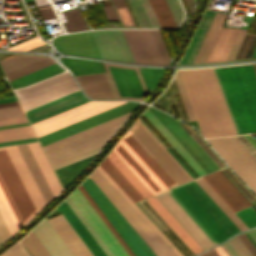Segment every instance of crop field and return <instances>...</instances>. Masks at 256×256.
Listing matches in <instances>:
<instances>
[{"label":"crop field","instance_id":"1","mask_svg":"<svg viewBox=\"0 0 256 256\" xmlns=\"http://www.w3.org/2000/svg\"><path fill=\"white\" fill-rule=\"evenodd\" d=\"M178 72L203 137L237 134L213 69Z\"/></svg>","mask_w":256,"mask_h":256},{"label":"crop field","instance_id":"2","mask_svg":"<svg viewBox=\"0 0 256 256\" xmlns=\"http://www.w3.org/2000/svg\"><path fill=\"white\" fill-rule=\"evenodd\" d=\"M213 69L237 133L256 132V76L252 66Z\"/></svg>","mask_w":256,"mask_h":256},{"label":"crop field","instance_id":"3","mask_svg":"<svg viewBox=\"0 0 256 256\" xmlns=\"http://www.w3.org/2000/svg\"><path fill=\"white\" fill-rule=\"evenodd\" d=\"M123 138L168 189L192 180L139 119Z\"/></svg>","mask_w":256,"mask_h":256},{"label":"crop field","instance_id":"4","mask_svg":"<svg viewBox=\"0 0 256 256\" xmlns=\"http://www.w3.org/2000/svg\"><path fill=\"white\" fill-rule=\"evenodd\" d=\"M171 192L218 243L239 232L195 180L173 188Z\"/></svg>","mask_w":256,"mask_h":256},{"label":"crop field","instance_id":"5","mask_svg":"<svg viewBox=\"0 0 256 256\" xmlns=\"http://www.w3.org/2000/svg\"><path fill=\"white\" fill-rule=\"evenodd\" d=\"M90 177L156 256H178L97 169Z\"/></svg>","mask_w":256,"mask_h":256},{"label":"crop field","instance_id":"6","mask_svg":"<svg viewBox=\"0 0 256 256\" xmlns=\"http://www.w3.org/2000/svg\"><path fill=\"white\" fill-rule=\"evenodd\" d=\"M82 185L136 256H155L90 177Z\"/></svg>","mask_w":256,"mask_h":256},{"label":"crop field","instance_id":"7","mask_svg":"<svg viewBox=\"0 0 256 256\" xmlns=\"http://www.w3.org/2000/svg\"><path fill=\"white\" fill-rule=\"evenodd\" d=\"M78 90L68 72L51 77L28 87L15 90L14 93L25 111L65 94Z\"/></svg>","mask_w":256,"mask_h":256},{"label":"crop field","instance_id":"8","mask_svg":"<svg viewBox=\"0 0 256 256\" xmlns=\"http://www.w3.org/2000/svg\"><path fill=\"white\" fill-rule=\"evenodd\" d=\"M127 102L123 101H90L50 118L32 124L37 137L78 122L90 116L109 110Z\"/></svg>","mask_w":256,"mask_h":256},{"label":"crop field","instance_id":"9","mask_svg":"<svg viewBox=\"0 0 256 256\" xmlns=\"http://www.w3.org/2000/svg\"><path fill=\"white\" fill-rule=\"evenodd\" d=\"M228 165L256 193V165L230 137L207 139Z\"/></svg>","mask_w":256,"mask_h":256},{"label":"crop field","instance_id":"10","mask_svg":"<svg viewBox=\"0 0 256 256\" xmlns=\"http://www.w3.org/2000/svg\"><path fill=\"white\" fill-rule=\"evenodd\" d=\"M103 64L118 99L143 100L148 95L137 67Z\"/></svg>","mask_w":256,"mask_h":256},{"label":"crop field","instance_id":"11","mask_svg":"<svg viewBox=\"0 0 256 256\" xmlns=\"http://www.w3.org/2000/svg\"><path fill=\"white\" fill-rule=\"evenodd\" d=\"M156 198L203 250L217 244L212 236L200 225V223L169 190L156 196Z\"/></svg>","mask_w":256,"mask_h":256},{"label":"crop field","instance_id":"12","mask_svg":"<svg viewBox=\"0 0 256 256\" xmlns=\"http://www.w3.org/2000/svg\"><path fill=\"white\" fill-rule=\"evenodd\" d=\"M1 150L35 215L46 204L17 146L2 147Z\"/></svg>","mask_w":256,"mask_h":256},{"label":"crop field","instance_id":"13","mask_svg":"<svg viewBox=\"0 0 256 256\" xmlns=\"http://www.w3.org/2000/svg\"><path fill=\"white\" fill-rule=\"evenodd\" d=\"M90 32L102 59L136 63L122 30Z\"/></svg>","mask_w":256,"mask_h":256},{"label":"crop field","instance_id":"14","mask_svg":"<svg viewBox=\"0 0 256 256\" xmlns=\"http://www.w3.org/2000/svg\"><path fill=\"white\" fill-rule=\"evenodd\" d=\"M112 150L153 195L167 190L164 184L156 177V175L133 151V149L123 140V138Z\"/></svg>","mask_w":256,"mask_h":256},{"label":"crop field","instance_id":"15","mask_svg":"<svg viewBox=\"0 0 256 256\" xmlns=\"http://www.w3.org/2000/svg\"><path fill=\"white\" fill-rule=\"evenodd\" d=\"M71 199L90 222L108 248L115 256H129L122 245L118 242L112 232L108 229L99 215L95 212L89 202L85 199L82 193L77 188L70 195Z\"/></svg>","mask_w":256,"mask_h":256},{"label":"crop field","instance_id":"16","mask_svg":"<svg viewBox=\"0 0 256 256\" xmlns=\"http://www.w3.org/2000/svg\"><path fill=\"white\" fill-rule=\"evenodd\" d=\"M137 63L164 65L150 30H123Z\"/></svg>","mask_w":256,"mask_h":256},{"label":"crop field","instance_id":"17","mask_svg":"<svg viewBox=\"0 0 256 256\" xmlns=\"http://www.w3.org/2000/svg\"><path fill=\"white\" fill-rule=\"evenodd\" d=\"M149 109L164 124V126L174 135L183 147L193 156V158L209 173L218 169L213 161L201 150V148L189 137V135L170 116L159 112L151 107Z\"/></svg>","mask_w":256,"mask_h":256},{"label":"crop field","instance_id":"18","mask_svg":"<svg viewBox=\"0 0 256 256\" xmlns=\"http://www.w3.org/2000/svg\"><path fill=\"white\" fill-rule=\"evenodd\" d=\"M138 104L139 103H137V102H129L127 104L121 105L119 107H116L109 111L103 112L96 116L90 117L88 119H85L78 123L72 124L65 128L59 129V130L49 133L47 135L41 136L38 139H39L41 145L43 146L45 144H48V143L58 140L60 138L66 137L68 135H71L73 133H76V132L86 129L88 127H91V126L101 123L103 121L109 120L111 118H114V117L124 114L126 112H129V111L135 109Z\"/></svg>","mask_w":256,"mask_h":256},{"label":"crop field","instance_id":"19","mask_svg":"<svg viewBox=\"0 0 256 256\" xmlns=\"http://www.w3.org/2000/svg\"><path fill=\"white\" fill-rule=\"evenodd\" d=\"M0 180L5 187L23 225L34 217L18 183L16 182L1 150H0Z\"/></svg>","mask_w":256,"mask_h":256},{"label":"crop field","instance_id":"20","mask_svg":"<svg viewBox=\"0 0 256 256\" xmlns=\"http://www.w3.org/2000/svg\"><path fill=\"white\" fill-rule=\"evenodd\" d=\"M120 126V125H119ZM119 126L47 153L51 165L105 144Z\"/></svg>","mask_w":256,"mask_h":256},{"label":"crop field","instance_id":"21","mask_svg":"<svg viewBox=\"0 0 256 256\" xmlns=\"http://www.w3.org/2000/svg\"><path fill=\"white\" fill-rule=\"evenodd\" d=\"M203 178L234 212L251 206L247 199L236 189V187L220 170L205 175Z\"/></svg>","mask_w":256,"mask_h":256},{"label":"crop field","instance_id":"22","mask_svg":"<svg viewBox=\"0 0 256 256\" xmlns=\"http://www.w3.org/2000/svg\"><path fill=\"white\" fill-rule=\"evenodd\" d=\"M84 102H86V99L80 90H78L38 107L27 110L25 111V114L32 124Z\"/></svg>","mask_w":256,"mask_h":256},{"label":"crop field","instance_id":"23","mask_svg":"<svg viewBox=\"0 0 256 256\" xmlns=\"http://www.w3.org/2000/svg\"><path fill=\"white\" fill-rule=\"evenodd\" d=\"M32 231L51 256H73L46 218Z\"/></svg>","mask_w":256,"mask_h":256},{"label":"crop field","instance_id":"24","mask_svg":"<svg viewBox=\"0 0 256 256\" xmlns=\"http://www.w3.org/2000/svg\"><path fill=\"white\" fill-rule=\"evenodd\" d=\"M57 208L79 234L85 245L89 248L94 256H106L65 200Z\"/></svg>","mask_w":256,"mask_h":256},{"label":"crop field","instance_id":"25","mask_svg":"<svg viewBox=\"0 0 256 256\" xmlns=\"http://www.w3.org/2000/svg\"><path fill=\"white\" fill-rule=\"evenodd\" d=\"M146 201L170 226V228L181 238V240L191 249V251L195 255L203 251L155 197L146 199Z\"/></svg>","mask_w":256,"mask_h":256},{"label":"crop field","instance_id":"26","mask_svg":"<svg viewBox=\"0 0 256 256\" xmlns=\"http://www.w3.org/2000/svg\"><path fill=\"white\" fill-rule=\"evenodd\" d=\"M130 113L131 112L126 113L124 115H121L119 117H116L114 119H111L109 121L103 122V123L98 124L96 126H93L91 128H88L86 130H83L81 132L73 134V135L68 136L66 138H63L61 140L55 141V142L50 143L48 145H45V146H43V148H44L45 152L47 153L51 150L59 148V147H61L63 145H66L68 143L74 142L76 140L82 139L84 137L90 136V135L95 134L97 132H100V131H103V130L108 129L110 127H113L115 125H118V124L122 123L130 115Z\"/></svg>","mask_w":256,"mask_h":256},{"label":"crop field","instance_id":"27","mask_svg":"<svg viewBox=\"0 0 256 256\" xmlns=\"http://www.w3.org/2000/svg\"><path fill=\"white\" fill-rule=\"evenodd\" d=\"M48 221L51 223L52 226L66 222L62 215L48 219ZM53 227L66 244L79 238L78 235L71 228V226L68 224V222ZM80 245H83L81 239L67 244V246L75 256H88Z\"/></svg>","mask_w":256,"mask_h":256},{"label":"crop field","instance_id":"28","mask_svg":"<svg viewBox=\"0 0 256 256\" xmlns=\"http://www.w3.org/2000/svg\"><path fill=\"white\" fill-rule=\"evenodd\" d=\"M87 94L95 98H114L104 74L78 77Z\"/></svg>","mask_w":256,"mask_h":256},{"label":"crop field","instance_id":"29","mask_svg":"<svg viewBox=\"0 0 256 256\" xmlns=\"http://www.w3.org/2000/svg\"><path fill=\"white\" fill-rule=\"evenodd\" d=\"M28 146L55 197L61 191L62 188L51 166L49 165L39 143H29Z\"/></svg>","mask_w":256,"mask_h":256},{"label":"crop field","instance_id":"30","mask_svg":"<svg viewBox=\"0 0 256 256\" xmlns=\"http://www.w3.org/2000/svg\"><path fill=\"white\" fill-rule=\"evenodd\" d=\"M143 114L169 141V143L178 151V153L187 161V163L196 171L199 176L206 174L201 166L189 155V153L177 142V140L165 129V127L153 116V114L148 109Z\"/></svg>","mask_w":256,"mask_h":256},{"label":"crop field","instance_id":"31","mask_svg":"<svg viewBox=\"0 0 256 256\" xmlns=\"http://www.w3.org/2000/svg\"><path fill=\"white\" fill-rule=\"evenodd\" d=\"M46 203H48L51 199H53V195L41 173V171L39 170L27 144H21V145H18Z\"/></svg>","mask_w":256,"mask_h":256},{"label":"crop field","instance_id":"32","mask_svg":"<svg viewBox=\"0 0 256 256\" xmlns=\"http://www.w3.org/2000/svg\"><path fill=\"white\" fill-rule=\"evenodd\" d=\"M227 15L216 13L193 63L205 62Z\"/></svg>","mask_w":256,"mask_h":256},{"label":"crop field","instance_id":"33","mask_svg":"<svg viewBox=\"0 0 256 256\" xmlns=\"http://www.w3.org/2000/svg\"><path fill=\"white\" fill-rule=\"evenodd\" d=\"M106 158L126 178V180L139 192V194L144 199L152 196V194L148 191V189L137 179V177L127 168V166L116 156V154L112 150Z\"/></svg>","mask_w":256,"mask_h":256},{"label":"crop field","instance_id":"34","mask_svg":"<svg viewBox=\"0 0 256 256\" xmlns=\"http://www.w3.org/2000/svg\"><path fill=\"white\" fill-rule=\"evenodd\" d=\"M99 166L134 203L143 200V198L137 193V191L124 179V177L111 165V163L106 158Z\"/></svg>","mask_w":256,"mask_h":256},{"label":"crop field","instance_id":"35","mask_svg":"<svg viewBox=\"0 0 256 256\" xmlns=\"http://www.w3.org/2000/svg\"><path fill=\"white\" fill-rule=\"evenodd\" d=\"M63 69L59 67L56 63L49 65L47 67H44L42 69H39L37 71H34L30 74H27L25 76H22L20 78H17L15 80L10 81V85L12 89L27 86L29 84H32L34 82H37L41 79H44L46 77H49L53 74H56Z\"/></svg>","mask_w":256,"mask_h":256},{"label":"crop field","instance_id":"36","mask_svg":"<svg viewBox=\"0 0 256 256\" xmlns=\"http://www.w3.org/2000/svg\"><path fill=\"white\" fill-rule=\"evenodd\" d=\"M61 61L72 70L74 75L105 72L99 62L74 58H61Z\"/></svg>","mask_w":256,"mask_h":256},{"label":"crop field","instance_id":"37","mask_svg":"<svg viewBox=\"0 0 256 256\" xmlns=\"http://www.w3.org/2000/svg\"><path fill=\"white\" fill-rule=\"evenodd\" d=\"M196 181L214 200V202L222 209V211L230 218V220L237 226L240 231L247 229L243 222L234 214V212L225 204V202L215 193V191L206 183V181L202 177L196 179Z\"/></svg>","mask_w":256,"mask_h":256},{"label":"crop field","instance_id":"38","mask_svg":"<svg viewBox=\"0 0 256 256\" xmlns=\"http://www.w3.org/2000/svg\"><path fill=\"white\" fill-rule=\"evenodd\" d=\"M47 56L41 55H27V54H16L12 57L0 61V65L4 73L24 66L26 64L32 63L39 59L45 58Z\"/></svg>","mask_w":256,"mask_h":256},{"label":"crop field","instance_id":"39","mask_svg":"<svg viewBox=\"0 0 256 256\" xmlns=\"http://www.w3.org/2000/svg\"><path fill=\"white\" fill-rule=\"evenodd\" d=\"M35 137L30 126L0 129V142Z\"/></svg>","mask_w":256,"mask_h":256},{"label":"crop field","instance_id":"40","mask_svg":"<svg viewBox=\"0 0 256 256\" xmlns=\"http://www.w3.org/2000/svg\"><path fill=\"white\" fill-rule=\"evenodd\" d=\"M52 63H54V60L49 58V57H47L45 59H42V60H39V61L34 62L32 64H29L27 66L21 67L19 69L11 71V72H8L5 75H6L7 79H8V81H10L12 79L20 77L22 75H25L27 73H30V72H32L34 70H37L39 68H42V67L47 66V65L52 64Z\"/></svg>","mask_w":256,"mask_h":256},{"label":"crop field","instance_id":"41","mask_svg":"<svg viewBox=\"0 0 256 256\" xmlns=\"http://www.w3.org/2000/svg\"><path fill=\"white\" fill-rule=\"evenodd\" d=\"M105 178L120 192V194L135 208V210L150 224V226L164 239V241L179 255L183 256L177 248L160 232V230L142 213V211L124 194V192L107 176V174L98 166L97 168Z\"/></svg>","mask_w":256,"mask_h":256},{"label":"crop field","instance_id":"42","mask_svg":"<svg viewBox=\"0 0 256 256\" xmlns=\"http://www.w3.org/2000/svg\"><path fill=\"white\" fill-rule=\"evenodd\" d=\"M206 30L207 29H203V28H198L181 64H189V63H192L195 56H196V53L199 49V46L203 40V37L206 33ZM208 31V30H207Z\"/></svg>","mask_w":256,"mask_h":256},{"label":"crop field","instance_id":"43","mask_svg":"<svg viewBox=\"0 0 256 256\" xmlns=\"http://www.w3.org/2000/svg\"><path fill=\"white\" fill-rule=\"evenodd\" d=\"M65 200L73 209V211L76 213V215L79 217V219L82 221V223L85 225V227L88 229V231L91 233V235L95 238V240L98 242V244L107 254V256H114L111 253V251L107 248V246L104 244V242L101 240V238L98 236V234L95 232V230L92 228V226L89 224V222L85 219V217L79 211V209L76 207V205L73 203V201L70 199V197L68 196Z\"/></svg>","mask_w":256,"mask_h":256},{"label":"crop field","instance_id":"44","mask_svg":"<svg viewBox=\"0 0 256 256\" xmlns=\"http://www.w3.org/2000/svg\"><path fill=\"white\" fill-rule=\"evenodd\" d=\"M80 191L83 193V195L86 197V199L90 202V204L93 206V208L96 210V212L100 215V217L103 219V221L106 223V225L110 228V230L113 232V234L116 236V238L119 240V242L123 245V247L126 249V251L129 253L130 256H134V254L130 251V249L127 247V245L124 243V241L121 239V237L118 235V233L115 231V229L112 227V225L109 223V221L106 219V217L103 215V213L100 211V209L97 207V205L94 203V201L91 199V197L88 195V193L85 191V189L81 186L78 187Z\"/></svg>","mask_w":256,"mask_h":256},{"label":"crop field","instance_id":"45","mask_svg":"<svg viewBox=\"0 0 256 256\" xmlns=\"http://www.w3.org/2000/svg\"><path fill=\"white\" fill-rule=\"evenodd\" d=\"M21 115L24 114L17 101L0 104V119Z\"/></svg>","mask_w":256,"mask_h":256},{"label":"crop field","instance_id":"46","mask_svg":"<svg viewBox=\"0 0 256 256\" xmlns=\"http://www.w3.org/2000/svg\"><path fill=\"white\" fill-rule=\"evenodd\" d=\"M0 196H1L5 206L7 208V210L9 212L17 230H19L23 225H22V223H21V221H20V219H19V217H18V215H17V213H16V211H15V209H14L6 191H5V189L3 188L1 182H0Z\"/></svg>","mask_w":256,"mask_h":256},{"label":"crop field","instance_id":"47","mask_svg":"<svg viewBox=\"0 0 256 256\" xmlns=\"http://www.w3.org/2000/svg\"><path fill=\"white\" fill-rule=\"evenodd\" d=\"M239 29L231 28L215 61L224 60ZM226 60V59H225Z\"/></svg>","mask_w":256,"mask_h":256},{"label":"crop field","instance_id":"48","mask_svg":"<svg viewBox=\"0 0 256 256\" xmlns=\"http://www.w3.org/2000/svg\"><path fill=\"white\" fill-rule=\"evenodd\" d=\"M236 214L248 228L256 226V212L252 207L238 211Z\"/></svg>","mask_w":256,"mask_h":256},{"label":"crop field","instance_id":"49","mask_svg":"<svg viewBox=\"0 0 256 256\" xmlns=\"http://www.w3.org/2000/svg\"><path fill=\"white\" fill-rule=\"evenodd\" d=\"M230 28L222 27L206 62L214 61Z\"/></svg>","mask_w":256,"mask_h":256},{"label":"crop field","instance_id":"50","mask_svg":"<svg viewBox=\"0 0 256 256\" xmlns=\"http://www.w3.org/2000/svg\"><path fill=\"white\" fill-rule=\"evenodd\" d=\"M151 31H152L153 36L155 38V41L157 43V46H158V49H159L160 54L162 56V59L164 61V64L168 65L171 57H170V55H169V53L167 51V48H166V46H165V44H164V42L162 40V37H161V35H160L158 30H151Z\"/></svg>","mask_w":256,"mask_h":256},{"label":"crop field","instance_id":"51","mask_svg":"<svg viewBox=\"0 0 256 256\" xmlns=\"http://www.w3.org/2000/svg\"><path fill=\"white\" fill-rule=\"evenodd\" d=\"M101 148H102V146H101V147H98V148H96V149H93V150H91V151H88V152H86V153H83V154H81V155H78V156H75V157H73V158H70V159H68V160H65V161H63V162H60V163H58V164H55V165H53V168H54V170H56V169H58V168H61V167H63V166H66V165H68V164H71V163H73V162H76V161H78V160H80V159H83V158H85V157H88V156H90V155H93V154L97 153Z\"/></svg>","mask_w":256,"mask_h":256},{"label":"crop field","instance_id":"52","mask_svg":"<svg viewBox=\"0 0 256 256\" xmlns=\"http://www.w3.org/2000/svg\"><path fill=\"white\" fill-rule=\"evenodd\" d=\"M246 31L247 30H243V29L239 30V32H238V34H237V36H236V38L233 42V45H232V47H231V49H230V51L227 55L226 60H233L234 59Z\"/></svg>","mask_w":256,"mask_h":256},{"label":"crop field","instance_id":"53","mask_svg":"<svg viewBox=\"0 0 256 256\" xmlns=\"http://www.w3.org/2000/svg\"><path fill=\"white\" fill-rule=\"evenodd\" d=\"M26 237L28 238V240L31 242V244L34 246V248L38 251V253L41 256H50L49 253L42 246V244L39 242V240L36 238V236L33 234L32 231Z\"/></svg>","mask_w":256,"mask_h":256},{"label":"crop field","instance_id":"54","mask_svg":"<svg viewBox=\"0 0 256 256\" xmlns=\"http://www.w3.org/2000/svg\"><path fill=\"white\" fill-rule=\"evenodd\" d=\"M1 256H29L20 243L15 244Z\"/></svg>","mask_w":256,"mask_h":256},{"label":"crop field","instance_id":"55","mask_svg":"<svg viewBox=\"0 0 256 256\" xmlns=\"http://www.w3.org/2000/svg\"><path fill=\"white\" fill-rule=\"evenodd\" d=\"M43 44L38 37L34 38V39H31L29 41H26L24 43H21L17 46H14L12 48H9V49H16V50H28L30 48H33V47H36L38 45H41Z\"/></svg>","mask_w":256,"mask_h":256},{"label":"crop field","instance_id":"56","mask_svg":"<svg viewBox=\"0 0 256 256\" xmlns=\"http://www.w3.org/2000/svg\"><path fill=\"white\" fill-rule=\"evenodd\" d=\"M0 213H1L5 223L7 225L11 235L14 234L15 232H17L13 223H12V221H11V219H10V217H9V215H8V213H7V211H6V209H5V207H4V205H3V203H2V201H1V199H0Z\"/></svg>","mask_w":256,"mask_h":256},{"label":"crop field","instance_id":"57","mask_svg":"<svg viewBox=\"0 0 256 256\" xmlns=\"http://www.w3.org/2000/svg\"><path fill=\"white\" fill-rule=\"evenodd\" d=\"M230 241L236 247V249L241 253L242 256H252L250 252L246 249V247L242 244V242L238 239L237 236H235Z\"/></svg>","mask_w":256,"mask_h":256},{"label":"crop field","instance_id":"58","mask_svg":"<svg viewBox=\"0 0 256 256\" xmlns=\"http://www.w3.org/2000/svg\"><path fill=\"white\" fill-rule=\"evenodd\" d=\"M25 122H27L25 116L8 118V119L0 120V126L19 124V123H25Z\"/></svg>","mask_w":256,"mask_h":256},{"label":"crop field","instance_id":"59","mask_svg":"<svg viewBox=\"0 0 256 256\" xmlns=\"http://www.w3.org/2000/svg\"><path fill=\"white\" fill-rule=\"evenodd\" d=\"M221 247L228 256H241L230 241L221 245Z\"/></svg>","mask_w":256,"mask_h":256},{"label":"crop field","instance_id":"60","mask_svg":"<svg viewBox=\"0 0 256 256\" xmlns=\"http://www.w3.org/2000/svg\"><path fill=\"white\" fill-rule=\"evenodd\" d=\"M239 239L243 242V244L247 247V249L252 253L253 256H256V249L255 247L250 243V241L246 238L244 233L238 235Z\"/></svg>","mask_w":256,"mask_h":256},{"label":"crop field","instance_id":"61","mask_svg":"<svg viewBox=\"0 0 256 256\" xmlns=\"http://www.w3.org/2000/svg\"><path fill=\"white\" fill-rule=\"evenodd\" d=\"M0 236L3 240V242L11 236L1 215H0Z\"/></svg>","mask_w":256,"mask_h":256},{"label":"crop field","instance_id":"62","mask_svg":"<svg viewBox=\"0 0 256 256\" xmlns=\"http://www.w3.org/2000/svg\"><path fill=\"white\" fill-rule=\"evenodd\" d=\"M214 14L215 13H213V12L206 11L205 15H204V17H203V19H202V21H201L199 26L208 28V26H209V24H210V22H211V20H212V18L214 16Z\"/></svg>","mask_w":256,"mask_h":256},{"label":"crop field","instance_id":"63","mask_svg":"<svg viewBox=\"0 0 256 256\" xmlns=\"http://www.w3.org/2000/svg\"><path fill=\"white\" fill-rule=\"evenodd\" d=\"M37 141L36 138L0 143V146Z\"/></svg>","mask_w":256,"mask_h":256},{"label":"crop field","instance_id":"64","mask_svg":"<svg viewBox=\"0 0 256 256\" xmlns=\"http://www.w3.org/2000/svg\"><path fill=\"white\" fill-rule=\"evenodd\" d=\"M237 144L238 146L250 157V159L256 164L255 158L247 151V149L238 141V139L235 136L231 137Z\"/></svg>","mask_w":256,"mask_h":256},{"label":"crop field","instance_id":"65","mask_svg":"<svg viewBox=\"0 0 256 256\" xmlns=\"http://www.w3.org/2000/svg\"><path fill=\"white\" fill-rule=\"evenodd\" d=\"M206 254V256H219V254L215 251V249H211V250H208L206 252H204Z\"/></svg>","mask_w":256,"mask_h":256},{"label":"crop field","instance_id":"66","mask_svg":"<svg viewBox=\"0 0 256 256\" xmlns=\"http://www.w3.org/2000/svg\"><path fill=\"white\" fill-rule=\"evenodd\" d=\"M248 233L250 234V236L254 239V241L256 242V229L248 231Z\"/></svg>","mask_w":256,"mask_h":256},{"label":"crop field","instance_id":"67","mask_svg":"<svg viewBox=\"0 0 256 256\" xmlns=\"http://www.w3.org/2000/svg\"><path fill=\"white\" fill-rule=\"evenodd\" d=\"M215 249L220 254V256H227L220 246L216 247Z\"/></svg>","mask_w":256,"mask_h":256},{"label":"crop field","instance_id":"68","mask_svg":"<svg viewBox=\"0 0 256 256\" xmlns=\"http://www.w3.org/2000/svg\"><path fill=\"white\" fill-rule=\"evenodd\" d=\"M14 100H16V98L0 100V102H7V101H14Z\"/></svg>","mask_w":256,"mask_h":256},{"label":"crop field","instance_id":"69","mask_svg":"<svg viewBox=\"0 0 256 256\" xmlns=\"http://www.w3.org/2000/svg\"><path fill=\"white\" fill-rule=\"evenodd\" d=\"M246 236L250 239V241L254 244V246L256 247V243L252 240V238L248 235V233L246 234Z\"/></svg>","mask_w":256,"mask_h":256},{"label":"crop field","instance_id":"70","mask_svg":"<svg viewBox=\"0 0 256 256\" xmlns=\"http://www.w3.org/2000/svg\"><path fill=\"white\" fill-rule=\"evenodd\" d=\"M251 58H256V49H255V51H254V53H253Z\"/></svg>","mask_w":256,"mask_h":256},{"label":"crop field","instance_id":"71","mask_svg":"<svg viewBox=\"0 0 256 256\" xmlns=\"http://www.w3.org/2000/svg\"><path fill=\"white\" fill-rule=\"evenodd\" d=\"M199 256H205V254L203 253V254H201V255H199Z\"/></svg>","mask_w":256,"mask_h":256}]
</instances>
